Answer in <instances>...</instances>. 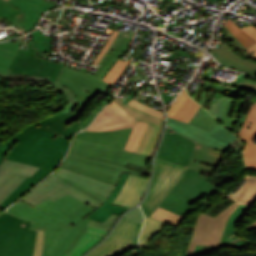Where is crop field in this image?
<instances>
[{
	"label": "crop field",
	"mask_w": 256,
	"mask_h": 256,
	"mask_svg": "<svg viewBox=\"0 0 256 256\" xmlns=\"http://www.w3.org/2000/svg\"><path fill=\"white\" fill-rule=\"evenodd\" d=\"M238 138L247 142L244 148L247 169L256 171V102L252 104Z\"/></svg>",
	"instance_id": "d9b57169"
},
{
	"label": "crop field",
	"mask_w": 256,
	"mask_h": 256,
	"mask_svg": "<svg viewBox=\"0 0 256 256\" xmlns=\"http://www.w3.org/2000/svg\"><path fill=\"white\" fill-rule=\"evenodd\" d=\"M42 245H43V231L37 230V241H36L33 256L42 255Z\"/></svg>",
	"instance_id": "73cf0c24"
},
{
	"label": "crop field",
	"mask_w": 256,
	"mask_h": 256,
	"mask_svg": "<svg viewBox=\"0 0 256 256\" xmlns=\"http://www.w3.org/2000/svg\"><path fill=\"white\" fill-rule=\"evenodd\" d=\"M151 217L153 218H156L158 220H161L163 222H166L168 224H172V225H177L182 217L176 215V214H173L167 210H164L160 207H158L155 212L151 215Z\"/></svg>",
	"instance_id": "e1f06a70"
},
{
	"label": "crop field",
	"mask_w": 256,
	"mask_h": 256,
	"mask_svg": "<svg viewBox=\"0 0 256 256\" xmlns=\"http://www.w3.org/2000/svg\"><path fill=\"white\" fill-rule=\"evenodd\" d=\"M122 34H123V33L119 32V34L117 35V37H116V39L114 40L113 44H112L111 47L109 48L108 52H107L106 55L103 57V59L100 61L99 65L102 64V62L106 59V57L110 54V52H111L112 50H115V49H116V47H117V45H118V43H119V41H120V39H121V37H122Z\"/></svg>",
	"instance_id": "0fb4a251"
},
{
	"label": "crop field",
	"mask_w": 256,
	"mask_h": 256,
	"mask_svg": "<svg viewBox=\"0 0 256 256\" xmlns=\"http://www.w3.org/2000/svg\"><path fill=\"white\" fill-rule=\"evenodd\" d=\"M87 231L82 230L81 233L76 237V239L73 241V243L70 245V247L67 249L66 253H71L73 249L76 247V245L83 239V237L86 235Z\"/></svg>",
	"instance_id": "dbb93151"
},
{
	"label": "crop field",
	"mask_w": 256,
	"mask_h": 256,
	"mask_svg": "<svg viewBox=\"0 0 256 256\" xmlns=\"http://www.w3.org/2000/svg\"><path fill=\"white\" fill-rule=\"evenodd\" d=\"M185 171V167L171 164L160 159L155 160V172L148 195L141 204L145 215L149 216L155 207L170 192Z\"/></svg>",
	"instance_id": "5a996713"
},
{
	"label": "crop field",
	"mask_w": 256,
	"mask_h": 256,
	"mask_svg": "<svg viewBox=\"0 0 256 256\" xmlns=\"http://www.w3.org/2000/svg\"><path fill=\"white\" fill-rule=\"evenodd\" d=\"M134 33H135V32L128 31L127 35H128V36H132V37H133V36H134Z\"/></svg>",
	"instance_id": "ae633e8c"
},
{
	"label": "crop field",
	"mask_w": 256,
	"mask_h": 256,
	"mask_svg": "<svg viewBox=\"0 0 256 256\" xmlns=\"http://www.w3.org/2000/svg\"><path fill=\"white\" fill-rule=\"evenodd\" d=\"M234 198L248 206H252L256 201V176L251 175L247 182L238 190Z\"/></svg>",
	"instance_id": "4177f3b9"
},
{
	"label": "crop field",
	"mask_w": 256,
	"mask_h": 256,
	"mask_svg": "<svg viewBox=\"0 0 256 256\" xmlns=\"http://www.w3.org/2000/svg\"><path fill=\"white\" fill-rule=\"evenodd\" d=\"M166 128L157 158L186 166V172L158 205L180 216H184L207 201L218 188L209 183L200 172L187 168L195 142Z\"/></svg>",
	"instance_id": "ac0d7876"
},
{
	"label": "crop field",
	"mask_w": 256,
	"mask_h": 256,
	"mask_svg": "<svg viewBox=\"0 0 256 256\" xmlns=\"http://www.w3.org/2000/svg\"><path fill=\"white\" fill-rule=\"evenodd\" d=\"M241 29L247 34H249L250 36H252L254 39H256V28L254 26L252 25L248 27L244 26Z\"/></svg>",
	"instance_id": "447ae74e"
},
{
	"label": "crop field",
	"mask_w": 256,
	"mask_h": 256,
	"mask_svg": "<svg viewBox=\"0 0 256 256\" xmlns=\"http://www.w3.org/2000/svg\"><path fill=\"white\" fill-rule=\"evenodd\" d=\"M161 131H162V127L160 128L159 135H158V137H157V139H156V142H155V144H154V146H153V148H152V151H151V153H150V155H149V156H151V157L153 156L154 151H155V149H156V146H157L158 140H159V138H160V136H161Z\"/></svg>",
	"instance_id": "7b73153f"
},
{
	"label": "crop field",
	"mask_w": 256,
	"mask_h": 256,
	"mask_svg": "<svg viewBox=\"0 0 256 256\" xmlns=\"http://www.w3.org/2000/svg\"><path fill=\"white\" fill-rule=\"evenodd\" d=\"M248 229L256 228V225L247 227Z\"/></svg>",
	"instance_id": "c39391a2"
},
{
	"label": "crop field",
	"mask_w": 256,
	"mask_h": 256,
	"mask_svg": "<svg viewBox=\"0 0 256 256\" xmlns=\"http://www.w3.org/2000/svg\"><path fill=\"white\" fill-rule=\"evenodd\" d=\"M146 125L147 124L140 123V122L135 124L134 129L131 133V136H130V138L127 142V145L125 147V150H129V151H133V152L135 151Z\"/></svg>",
	"instance_id": "028f5c9d"
},
{
	"label": "crop field",
	"mask_w": 256,
	"mask_h": 256,
	"mask_svg": "<svg viewBox=\"0 0 256 256\" xmlns=\"http://www.w3.org/2000/svg\"><path fill=\"white\" fill-rule=\"evenodd\" d=\"M207 100H209V98H207ZM205 101L204 104L202 105L203 107L207 104L208 101Z\"/></svg>",
	"instance_id": "ade564c9"
},
{
	"label": "crop field",
	"mask_w": 256,
	"mask_h": 256,
	"mask_svg": "<svg viewBox=\"0 0 256 256\" xmlns=\"http://www.w3.org/2000/svg\"><path fill=\"white\" fill-rule=\"evenodd\" d=\"M89 231H92V232H95V233H98V234H101V235H104V236L107 235V232L101 231V230L96 229V228H91Z\"/></svg>",
	"instance_id": "0f1d7ab4"
},
{
	"label": "crop field",
	"mask_w": 256,
	"mask_h": 256,
	"mask_svg": "<svg viewBox=\"0 0 256 256\" xmlns=\"http://www.w3.org/2000/svg\"><path fill=\"white\" fill-rule=\"evenodd\" d=\"M81 225L78 226L77 228H74V227L71 228V230L66 234V236L59 242L58 246L56 247V249L54 250L51 256H58L62 252V250L65 248L66 244L68 243V241L76 233V231L81 227Z\"/></svg>",
	"instance_id": "c035e120"
},
{
	"label": "crop field",
	"mask_w": 256,
	"mask_h": 256,
	"mask_svg": "<svg viewBox=\"0 0 256 256\" xmlns=\"http://www.w3.org/2000/svg\"><path fill=\"white\" fill-rule=\"evenodd\" d=\"M213 1H215V2H216L217 0H213Z\"/></svg>",
	"instance_id": "7312dd0a"
},
{
	"label": "crop field",
	"mask_w": 256,
	"mask_h": 256,
	"mask_svg": "<svg viewBox=\"0 0 256 256\" xmlns=\"http://www.w3.org/2000/svg\"><path fill=\"white\" fill-rule=\"evenodd\" d=\"M222 153L196 142L189 168L213 174L217 164L221 161Z\"/></svg>",
	"instance_id": "bc2a9ffb"
},
{
	"label": "crop field",
	"mask_w": 256,
	"mask_h": 256,
	"mask_svg": "<svg viewBox=\"0 0 256 256\" xmlns=\"http://www.w3.org/2000/svg\"><path fill=\"white\" fill-rule=\"evenodd\" d=\"M205 99H206L205 97H202L198 103H200L202 105V103L205 101Z\"/></svg>",
	"instance_id": "d14b1444"
},
{
	"label": "crop field",
	"mask_w": 256,
	"mask_h": 256,
	"mask_svg": "<svg viewBox=\"0 0 256 256\" xmlns=\"http://www.w3.org/2000/svg\"><path fill=\"white\" fill-rule=\"evenodd\" d=\"M113 107H115L120 113H122L127 119H129L133 125L138 121L128 115L124 110H122L113 100L109 102Z\"/></svg>",
	"instance_id": "9d1cf04e"
},
{
	"label": "crop field",
	"mask_w": 256,
	"mask_h": 256,
	"mask_svg": "<svg viewBox=\"0 0 256 256\" xmlns=\"http://www.w3.org/2000/svg\"><path fill=\"white\" fill-rule=\"evenodd\" d=\"M7 2L24 12L16 22H18L26 32L34 28L43 12L57 7L51 2L47 3L43 0H9Z\"/></svg>",
	"instance_id": "5142ce71"
},
{
	"label": "crop field",
	"mask_w": 256,
	"mask_h": 256,
	"mask_svg": "<svg viewBox=\"0 0 256 256\" xmlns=\"http://www.w3.org/2000/svg\"><path fill=\"white\" fill-rule=\"evenodd\" d=\"M221 49L211 48L213 56L223 65L256 76V63L248 62L237 56L228 43H221Z\"/></svg>",
	"instance_id": "214f88e0"
},
{
	"label": "crop field",
	"mask_w": 256,
	"mask_h": 256,
	"mask_svg": "<svg viewBox=\"0 0 256 256\" xmlns=\"http://www.w3.org/2000/svg\"><path fill=\"white\" fill-rule=\"evenodd\" d=\"M22 13L23 12L19 11L16 7L10 5L6 1L0 0V20L2 21L6 17L12 23H14L18 28H20L23 31V33H26L24 29L18 23L15 22Z\"/></svg>",
	"instance_id": "bd1437ed"
},
{
	"label": "crop field",
	"mask_w": 256,
	"mask_h": 256,
	"mask_svg": "<svg viewBox=\"0 0 256 256\" xmlns=\"http://www.w3.org/2000/svg\"><path fill=\"white\" fill-rule=\"evenodd\" d=\"M67 256H71V255H68V254H67Z\"/></svg>",
	"instance_id": "180be81f"
},
{
	"label": "crop field",
	"mask_w": 256,
	"mask_h": 256,
	"mask_svg": "<svg viewBox=\"0 0 256 256\" xmlns=\"http://www.w3.org/2000/svg\"><path fill=\"white\" fill-rule=\"evenodd\" d=\"M159 128H160L159 126H155V125L153 126V129L151 131L150 137H149V139H148V141H147V143H146V145H145V147H144V149H143L141 154L147 155V156L149 155V153L151 151V148H152V146L154 144V141H155V139H156V137L158 135Z\"/></svg>",
	"instance_id": "b54c1fbb"
},
{
	"label": "crop field",
	"mask_w": 256,
	"mask_h": 256,
	"mask_svg": "<svg viewBox=\"0 0 256 256\" xmlns=\"http://www.w3.org/2000/svg\"><path fill=\"white\" fill-rule=\"evenodd\" d=\"M26 46L27 50H19L9 67L11 71L4 78L33 81L41 86L55 89L63 94L68 102L66 108L62 111L67 114L72 113L77 106V97L63 85L55 83L63 64L52 63L47 59L35 58L37 48L32 49V42H26Z\"/></svg>",
	"instance_id": "f4fd0767"
},
{
	"label": "crop field",
	"mask_w": 256,
	"mask_h": 256,
	"mask_svg": "<svg viewBox=\"0 0 256 256\" xmlns=\"http://www.w3.org/2000/svg\"><path fill=\"white\" fill-rule=\"evenodd\" d=\"M216 122L217 120L212 117L206 110L203 109L200 117L196 118L193 116L189 124L210 131Z\"/></svg>",
	"instance_id": "5866460e"
},
{
	"label": "crop field",
	"mask_w": 256,
	"mask_h": 256,
	"mask_svg": "<svg viewBox=\"0 0 256 256\" xmlns=\"http://www.w3.org/2000/svg\"><path fill=\"white\" fill-rule=\"evenodd\" d=\"M38 169L39 167L4 159L0 164V204Z\"/></svg>",
	"instance_id": "cbeb9de0"
},
{
	"label": "crop field",
	"mask_w": 256,
	"mask_h": 256,
	"mask_svg": "<svg viewBox=\"0 0 256 256\" xmlns=\"http://www.w3.org/2000/svg\"><path fill=\"white\" fill-rule=\"evenodd\" d=\"M103 238L105 237L88 232V234L78 244V246L74 249L71 255L82 256L87 251H89L93 246H95L99 241H101Z\"/></svg>",
	"instance_id": "750c4746"
},
{
	"label": "crop field",
	"mask_w": 256,
	"mask_h": 256,
	"mask_svg": "<svg viewBox=\"0 0 256 256\" xmlns=\"http://www.w3.org/2000/svg\"><path fill=\"white\" fill-rule=\"evenodd\" d=\"M223 29L225 30V32L228 34V36L231 38V40L238 45L242 50H246V48L228 31V29L225 27V25H223Z\"/></svg>",
	"instance_id": "0765c3eb"
},
{
	"label": "crop field",
	"mask_w": 256,
	"mask_h": 256,
	"mask_svg": "<svg viewBox=\"0 0 256 256\" xmlns=\"http://www.w3.org/2000/svg\"><path fill=\"white\" fill-rule=\"evenodd\" d=\"M167 125L187 137L203 143L219 152L229 149L230 145L237 138L228 129L224 128L219 122L215 124L210 132L191 126L168 117Z\"/></svg>",
	"instance_id": "d1516ede"
},
{
	"label": "crop field",
	"mask_w": 256,
	"mask_h": 256,
	"mask_svg": "<svg viewBox=\"0 0 256 256\" xmlns=\"http://www.w3.org/2000/svg\"><path fill=\"white\" fill-rule=\"evenodd\" d=\"M65 255H66V253L63 254V256H65ZM66 256H67V255H66Z\"/></svg>",
	"instance_id": "fb207236"
},
{
	"label": "crop field",
	"mask_w": 256,
	"mask_h": 256,
	"mask_svg": "<svg viewBox=\"0 0 256 256\" xmlns=\"http://www.w3.org/2000/svg\"><path fill=\"white\" fill-rule=\"evenodd\" d=\"M131 40L132 38L123 36L117 50L111 52L94 75L65 67L63 68L57 82L69 88L79 99L78 106L73 114L77 116L85 104L98 93H101L104 96L109 94L107 91L111 86L101 80L121 54L129 50Z\"/></svg>",
	"instance_id": "e52e79f7"
},
{
	"label": "crop field",
	"mask_w": 256,
	"mask_h": 256,
	"mask_svg": "<svg viewBox=\"0 0 256 256\" xmlns=\"http://www.w3.org/2000/svg\"><path fill=\"white\" fill-rule=\"evenodd\" d=\"M17 40L18 42L16 44L12 42L0 44V54L14 58L19 49L21 38H18Z\"/></svg>",
	"instance_id": "b80d0937"
},
{
	"label": "crop field",
	"mask_w": 256,
	"mask_h": 256,
	"mask_svg": "<svg viewBox=\"0 0 256 256\" xmlns=\"http://www.w3.org/2000/svg\"><path fill=\"white\" fill-rule=\"evenodd\" d=\"M130 61L131 60L123 62L119 58L118 61L114 64V66L111 68V70L108 72V74L104 77L102 81L113 86Z\"/></svg>",
	"instance_id": "d32e631a"
},
{
	"label": "crop field",
	"mask_w": 256,
	"mask_h": 256,
	"mask_svg": "<svg viewBox=\"0 0 256 256\" xmlns=\"http://www.w3.org/2000/svg\"><path fill=\"white\" fill-rule=\"evenodd\" d=\"M50 43L51 38H45L38 30L33 32V48L38 47L37 51L49 52Z\"/></svg>",
	"instance_id": "0bd39190"
},
{
	"label": "crop field",
	"mask_w": 256,
	"mask_h": 256,
	"mask_svg": "<svg viewBox=\"0 0 256 256\" xmlns=\"http://www.w3.org/2000/svg\"><path fill=\"white\" fill-rule=\"evenodd\" d=\"M63 176L106 197H109L114 189V186L58 167L55 172H53L48 178H46L32 190H30V192L21 198V200L34 206L48 198L54 201L69 193L83 200L94 208H98L101 205V203L87 197L86 195L63 182Z\"/></svg>",
	"instance_id": "dd49c442"
},
{
	"label": "crop field",
	"mask_w": 256,
	"mask_h": 256,
	"mask_svg": "<svg viewBox=\"0 0 256 256\" xmlns=\"http://www.w3.org/2000/svg\"><path fill=\"white\" fill-rule=\"evenodd\" d=\"M141 223L122 218L110 236L86 256H117L138 243Z\"/></svg>",
	"instance_id": "28ad6ade"
},
{
	"label": "crop field",
	"mask_w": 256,
	"mask_h": 256,
	"mask_svg": "<svg viewBox=\"0 0 256 256\" xmlns=\"http://www.w3.org/2000/svg\"><path fill=\"white\" fill-rule=\"evenodd\" d=\"M117 34H118V31L114 30L113 33L111 34L109 40L107 41L105 47L100 51L96 60L94 61L95 64H98V62L101 60V58L107 52L108 48L110 47L111 43L113 42V40L115 39Z\"/></svg>",
	"instance_id": "425ffa30"
},
{
	"label": "crop field",
	"mask_w": 256,
	"mask_h": 256,
	"mask_svg": "<svg viewBox=\"0 0 256 256\" xmlns=\"http://www.w3.org/2000/svg\"><path fill=\"white\" fill-rule=\"evenodd\" d=\"M241 88L249 90V91L256 92V82L245 79Z\"/></svg>",
	"instance_id": "1d79db26"
},
{
	"label": "crop field",
	"mask_w": 256,
	"mask_h": 256,
	"mask_svg": "<svg viewBox=\"0 0 256 256\" xmlns=\"http://www.w3.org/2000/svg\"><path fill=\"white\" fill-rule=\"evenodd\" d=\"M93 210L94 208L91 206L67 194L54 202L48 199L34 207L18 200L6 211L23 219L33 221L30 229L44 230L42 256H50L58 242L72 226L77 227L79 224L84 223L59 255L61 256L86 225L109 232L119 218V216L113 214L101 224L85 217Z\"/></svg>",
	"instance_id": "8a807250"
},
{
	"label": "crop field",
	"mask_w": 256,
	"mask_h": 256,
	"mask_svg": "<svg viewBox=\"0 0 256 256\" xmlns=\"http://www.w3.org/2000/svg\"><path fill=\"white\" fill-rule=\"evenodd\" d=\"M245 100L240 99L239 101H235V99L230 100L228 107L224 113V116L221 120L222 124L230 129H232L235 118L238 115L240 107Z\"/></svg>",
	"instance_id": "ae1a2a85"
},
{
	"label": "crop field",
	"mask_w": 256,
	"mask_h": 256,
	"mask_svg": "<svg viewBox=\"0 0 256 256\" xmlns=\"http://www.w3.org/2000/svg\"><path fill=\"white\" fill-rule=\"evenodd\" d=\"M15 144L13 140H7L5 143L0 145V163L4 159L5 155L9 151V149Z\"/></svg>",
	"instance_id": "1f2cbd36"
},
{
	"label": "crop field",
	"mask_w": 256,
	"mask_h": 256,
	"mask_svg": "<svg viewBox=\"0 0 256 256\" xmlns=\"http://www.w3.org/2000/svg\"><path fill=\"white\" fill-rule=\"evenodd\" d=\"M129 176V173L123 172L122 177L120 178L118 184L116 185L115 190L110 195L109 198L102 204V206L98 209H95L92 213H90L87 217L96 220L98 222L103 223L107 218H109L113 213L122 215L124 212H126L128 209L123 208L117 205L111 204L113 200L116 198V196L121 191L127 177Z\"/></svg>",
	"instance_id": "dafd665d"
},
{
	"label": "crop field",
	"mask_w": 256,
	"mask_h": 256,
	"mask_svg": "<svg viewBox=\"0 0 256 256\" xmlns=\"http://www.w3.org/2000/svg\"><path fill=\"white\" fill-rule=\"evenodd\" d=\"M248 207L240 204L237 209L234 211V213L232 214V216L229 218L223 237L221 239L220 245L219 247H222V245L228 241V238L225 237L226 234H232L236 224L238 223V221L243 217V215L248 211Z\"/></svg>",
	"instance_id": "d3111659"
},
{
	"label": "crop field",
	"mask_w": 256,
	"mask_h": 256,
	"mask_svg": "<svg viewBox=\"0 0 256 256\" xmlns=\"http://www.w3.org/2000/svg\"><path fill=\"white\" fill-rule=\"evenodd\" d=\"M152 126L153 125H150V124L147 125V127H146V129L144 131V134H143V136H142V138H141V140L139 142V145H138V147H137V149L135 151L136 153H139V154L141 153V151H142V149L144 147V144H145V142H146V140H147V138H148V136L150 134Z\"/></svg>",
	"instance_id": "89e229c0"
},
{
	"label": "crop field",
	"mask_w": 256,
	"mask_h": 256,
	"mask_svg": "<svg viewBox=\"0 0 256 256\" xmlns=\"http://www.w3.org/2000/svg\"><path fill=\"white\" fill-rule=\"evenodd\" d=\"M12 61L13 58L0 55V78H3L9 72L7 69Z\"/></svg>",
	"instance_id": "d23c7cc5"
},
{
	"label": "crop field",
	"mask_w": 256,
	"mask_h": 256,
	"mask_svg": "<svg viewBox=\"0 0 256 256\" xmlns=\"http://www.w3.org/2000/svg\"><path fill=\"white\" fill-rule=\"evenodd\" d=\"M189 96L185 92V90L177 97V99L172 104L170 110L167 112V115L173 118L174 114L181 107V105L186 101Z\"/></svg>",
	"instance_id": "03da06ac"
},
{
	"label": "crop field",
	"mask_w": 256,
	"mask_h": 256,
	"mask_svg": "<svg viewBox=\"0 0 256 256\" xmlns=\"http://www.w3.org/2000/svg\"><path fill=\"white\" fill-rule=\"evenodd\" d=\"M124 218H128L134 221L141 222L143 221V214L140 210V208H136L124 215Z\"/></svg>",
	"instance_id": "25e5ab78"
},
{
	"label": "crop field",
	"mask_w": 256,
	"mask_h": 256,
	"mask_svg": "<svg viewBox=\"0 0 256 256\" xmlns=\"http://www.w3.org/2000/svg\"><path fill=\"white\" fill-rule=\"evenodd\" d=\"M254 224H256V221L254 223H252L251 225H254Z\"/></svg>",
	"instance_id": "c3a83c6f"
},
{
	"label": "crop field",
	"mask_w": 256,
	"mask_h": 256,
	"mask_svg": "<svg viewBox=\"0 0 256 256\" xmlns=\"http://www.w3.org/2000/svg\"><path fill=\"white\" fill-rule=\"evenodd\" d=\"M85 229L89 230V229H90V227L86 226V227H85Z\"/></svg>",
	"instance_id": "c5b07064"
},
{
	"label": "crop field",
	"mask_w": 256,
	"mask_h": 256,
	"mask_svg": "<svg viewBox=\"0 0 256 256\" xmlns=\"http://www.w3.org/2000/svg\"><path fill=\"white\" fill-rule=\"evenodd\" d=\"M113 97V95L109 94L107 98L100 104V106L92 113V115L85 121L82 122L81 120H78L77 117L70 114L67 115L64 112L60 111L54 116L37 121L35 123H32L28 125L25 129H23L20 133L16 134L15 136L9 138L17 141L20 139L23 135H25L27 132L32 130L33 128L40 126L56 135L62 136L71 139V137L77 132L82 130L83 128L87 127L93 119L96 117L99 110ZM101 111V110H100Z\"/></svg>",
	"instance_id": "3316defc"
},
{
	"label": "crop field",
	"mask_w": 256,
	"mask_h": 256,
	"mask_svg": "<svg viewBox=\"0 0 256 256\" xmlns=\"http://www.w3.org/2000/svg\"><path fill=\"white\" fill-rule=\"evenodd\" d=\"M132 127V123L108 103L85 131H114Z\"/></svg>",
	"instance_id": "733c2abd"
},
{
	"label": "crop field",
	"mask_w": 256,
	"mask_h": 256,
	"mask_svg": "<svg viewBox=\"0 0 256 256\" xmlns=\"http://www.w3.org/2000/svg\"><path fill=\"white\" fill-rule=\"evenodd\" d=\"M51 171L40 168L34 175L28 177L2 204L1 208L6 209L27 191H29L33 186L42 181L47 177Z\"/></svg>",
	"instance_id": "a9b5d70f"
},
{
	"label": "crop field",
	"mask_w": 256,
	"mask_h": 256,
	"mask_svg": "<svg viewBox=\"0 0 256 256\" xmlns=\"http://www.w3.org/2000/svg\"><path fill=\"white\" fill-rule=\"evenodd\" d=\"M132 129L118 130L114 132L80 131L75 137L123 149Z\"/></svg>",
	"instance_id": "92a150f3"
},
{
	"label": "crop field",
	"mask_w": 256,
	"mask_h": 256,
	"mask_svg": "<svg viewBox=\"0 0 256 256\" xmlns=\"http://www.w3.org/2000/svg\"><path fill=\"white\" fill-rule=\"evenodd\" d=\"M231 45H232L234 48H236L240 53H242L244 56L256 60V57H255V56H252V55H250V54H247V53L243 52V51H242L238 46H236L233 42L231 43Z\"/></svg>",
	"instance_id": "db79e9e6"
},
{
	"label": "crop field",
	"mask_w": 256,
	"mask_h": 256,
	"mask_svg": "<svg viewBox=\"0 0 256 256\" xmlns=\"http://www.w3.org/2000/svg\"><path fill=\"white\" fill-rule=\"evenodd\" d=\"M229 31L247 48L254 44L256 40L244 33L232 20L229 18L225 23Z\"/></svg>",
	"instance_id": "120bbe31"
},
{
	"label": "crop field",
	"mask_w": 256,
	"mask_h": 256,
	"mask_svg": "<svg viewBox=\"0 0 256 256\" xmlns=\"http://www.w3.org/2000/svg\"><path fill=\"white\" fill-rule=\"evenodd\" d=\"M165 224L151 217H146L140 237L141 246L148 242Z\"/></svg>",
	"instance_id": "eef30255"
},
{
	"label": "crop field",
	"mask_w": 256,
	"mask_h": 256,
	"mask_svg": "<svg viewBox=\"0 0 256 256\" xmlns=\"http://www.w3.org/2000/svg\"><path fill=\"white\" fill-rule=\"evenodd\" d=\"M122 109H124L128 114H130L132 117L136 118V119H139L141 121H145V122H149V123H153V124H157V125H161L163 126V122L164 120L158 118V117H155V116H152L150 114H147V113H144L130 105H124L118 97H114L113 99Z\"/></svg>",
	"instance_id": "730fd06b"
},
{
	"label": "crop field",
	"mask_w": 256,
	"mask_h": 256,
	"mask_svg": "<svg viewBox=\"0 0 256 256\" xmlns=\"http://www.w3.org/2000/svg\"><path fill=\"white\" fill-rule=\"evenodd\" d=\"M63 181L67 182L68 184H70L71 186L75 187L79 191L83 192L84 194H86V195H88V196H90V197H92V198H94V199H96V200H98V201H100L102 203L106 200V197H104L102 195H99V194H97V193H95L93 191H90V190H88V189H86V188H84V187H82V186H80V185H78V184H76V183L66 179V178H64Z\"/></svg>",
	"instance_id": "c21b1889"
},
{
	"label": "crop field",
	"mask_w": 256,
	"mask_h": 256,
	"mask_svg": "<svg viewBox=\"0 0 256 256\" xmlns=\"http://www.w3.org/2000/svg\"><path fill=\"white\" fill-rule=\"evenodd\" d=\"M214 72L215 69L212 72L208 71L202 75L201 79L208 81L206 86L221 92L222 95L229 97L236 96L239 94L240 86L245 78V75L240 73L233 83L225 81L224 83H222L217 82L216 80H214L213 77H210Z\"/></svg>",
	"instance_id": "00972430"
},
{
	"label": "crop field",
	"mask_w": 256,
	"mask_h": 256,
	"mask_svg": "<svg viewBox=\"0 0 256 256\" xmlns=\"http://www.w3.org/2000/svg\"><path fill=\"white\" fill-rule=\"evenodd\" d=\"M239 203L235 202L216 217L201 214L192 236L187 256H191L196 244L218 246L222 237L227 219L233 213Z\"/></svg>",
	"instance_id": "22f410ed"
},
{
	"label": "crop field",
	"mask_w": 256,
	"mask_h": 256,
	"mask_svg": "<svg viewBox=\"0 0 256 256\" xmlns=\"http://www.w3.org/2000/svg\"><path fill=\"white\" fill-rule=\"evenodd\" d=\"M69 146V140L38 127L18 140L5 158L53 171Z\"/></svg>",
	"instance_id": "412701ff"
},
{
	"label": "crop field",
	"mask_w": 256,
	"mask_h": 256,
	"mask_svg": "<svg viewBox=\"0 0 256 256\" xmlns=\"http://www.w3.org/2000/svg\"><path fill=\"white\" fill-rule=\"evenodd\" d=\"M31 223L6 212L0 215V256H32L36 231L29 230Z\"/></svg>",
	"instance_id": "d8731c3e"
},
{
	"label": "crop field",
	"mask_w": 256,
	"mask_h": 256,
	"mask_svg": "<svg viewBox=\"0 0 256 256\" xmlns=\"http://www.w3.org/2000/svg\"><path fill=\"white\" fill-rule=\"evenodd\" d=\"M150 157L74 138L60 167L116 185L123 171L141 176L125 168L133 164L146 168Z\"/></svg>",
	"instance_id": "34b2d1b8"
},
{
	"label": "crop field",
	"mask_w": 256,
	"mask_h": 256,
	"mask_svg": "<svg viewBox=\"0 0 256 256\" xmlns=\"http://www.w3.org/2000/svg\"><path fill=\"white\" fill-rule=\"evenodd\" d=\"M202 109H203V108L200 106V108L198 109V111L195 113V116L198 117V116L200 115Z\"/></svg>",
	"instance_id": "e1d0b9f6"
},
{
	"label": "crop field",
	"mask_w": 256,
	"mask_h": 256,
	"mask_svg": "<svg viewBox=\"0 0 256 256\" xmlns=\"http://www.w3.org/2000/svg\"><path fill=\"white\" fill-rule=\"evenodd\" d=\"M128 104H130V105H132V106H134V107H136V108H138V109H140V110H142L144 112H147V113H150V114H153L155 116L163 118V113H161V112H159V111H157L155 109H152L150 107H147V106H145V105H143L141 103H138V102H136V101H134L132 99L130 100V102Z\"/></svg>",
	"instance_id": "5d738f31"
},
{
	"label": "crop field",
	"mask_w": 256,
	"mask_h": 256,
	"mask_svg": "<svg viewBox=\"0 0 256 256\" xmlns=\"http://www.w3.org/2000/svg\"><path fill=\"white\" fill-rule=\"evenodd\" d=\"M147 185L148 179L130 174L123 190L114 200L113 204L132 208L143 197Z\"/></svg>",
	"instance_id": "4a817a6b"
},
{
	"label": "crop field",
	"mask_w": 256,
	"mask_h": 256,
	"mask_svg": "<svg viewBox=\"0 0 256 256\" xmlns=\"http://www.w3.org/2000/svg\"><path fill=\"white\" fill-rule=\"evenodd\" d=\"M247 53L253 54L256 56V44L252 45L247 51Z\"/></svg>",
	"instance_id": "78b8030e"
},
{
	"label": "crop field",
	"mask_w": 256,
	"mask_h": 256,
	"mask_svg": "<svg viewBox=\"0 0 256 256\" xmlns=\"http://www.w3.org/2000/svg\"><path fill=\"white\" fill-rule=\"evenodd\" d=\"M7 1V0H6Z\"/></svg>",
	"instance_id": "f0312440"
},
{
	"label": "crop field",
	"mask_w": 256,
	"mask_h": 256,
	"mask_svg": "<svg viewBox=\"0 0 256 256\" xmlns=\"http://www.w3.org/2000/svg\"><path fill=\"white\" fill-rule=\"evenodd\" d=\"M199 106L200 105H198L189 97L188 100L175 114L174 119L189 123L190 119L192 118L196 110L199 108Z\"/></svg>",
	"instance_id": "1d83c4d3"
}]
</instances>
